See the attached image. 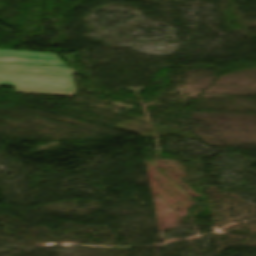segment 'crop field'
Wrapping results in <instances>:
<instances>
[{
  "mask_svg": "<svg viewBox=\"0 0 256 256\" xmlns=\"http://www.w3.org/2000/svg\"><path fill=\"white\" fill-rule=\"evenodd\" d=\"M0 85L16 86L15 93L72 96L71 74L55 54L0 50Z\"/></svg>",
  "mask_w": 256,
  "mask_h": 256,
  "instance_id": "1",
  "label": "crop field"
}]
</instances>
